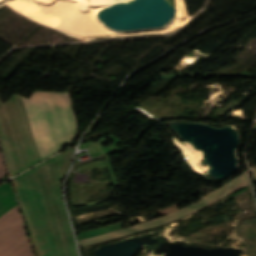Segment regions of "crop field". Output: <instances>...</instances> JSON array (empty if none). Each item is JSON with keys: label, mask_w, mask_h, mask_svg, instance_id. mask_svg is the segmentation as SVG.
I'll list each match as a JSON object with an SVG mask.
<instances>
[{"label": "crop field", "mask_w": 256, "mask_h": 256, "mask_svg": "<svg viewBox=\"0 0 256 256\" xmlns=\"http://www.w3.org/2000/svg\"><path fill=\"white\" fill-rule=\"evenodd\" d=\"M248 184H249L248 175H247V173H245L242 176L232 180L230 183L205 195L202 200H199L198 202H196L180 211L168 214L161 218H157V219H153V220L144 222L139 225L131 226V227L124 228L121 230H117V231L109 232L106 234L98 235L95 237H91L88 239L80 240V241H78L79 247L102 242V241L120 237V236H124V235L138 232V231L150 228V227L158 226L160 224L172 222V221L180 219L190 213L200 210V209L206 207L207 205L221 199L222 197H224V196H226V195H228V194H230Z\"/></svg>", "instance_id": "1"}, {"label": "crop field", "mask_w": 256, "mask_h": 256, "mask_svg": "<svg viewBox=\"0 0 256 256\" xmlns=\"http://www.w3.org/2000/svg\"><path fill=\"white\" fill-rule=\"evenodd\" d=\"M253 170V174H254V178H255V182H256V167L252 168Z\"/></svg>", "instance_id": "2"}]
</instances>
